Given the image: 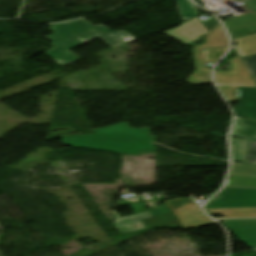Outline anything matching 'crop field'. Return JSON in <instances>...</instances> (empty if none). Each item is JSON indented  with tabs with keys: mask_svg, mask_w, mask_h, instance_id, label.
<instances>
[{
	"mask_svg": "<svg viewBox=\"0 0 256 256\" xmlns=\"http://www.w3.org/2000/svg\"><path fill=\"white\" fill-rule=\"evenodd\" d=\"M50 29L54 34L46 37L55 47L43 54L62 66L80 60L70 49L97 37L111 47L135 40L125 31L111 32L102 25L94 27L84 19L53 25Z\"/></svg>",
	"mask_w": 256,
	"mask_h": 256,
	"instance_id": "8a807250",
	"label": "crop field"
},
{
	"mask_svg": "<svg viewBox=\"0 0 256 256\" xmlns=\"http://www.w3.org/2000/svg\"><path fill=\"white\" fill-rule=\"evenodd\" d=\"M94 134L63 138L68 146L98 149L121 154L154 153L155 136L148 128L135 129L127 123L93 130Z\"/></svg>",
	"mask_w": 256,
	"mask_h": 256,
	"instance_id": "ac0d7876",
	"label": "crop field"
},
{
	"mask_svg": "<svg viewBox=\"0 0 256 256\" xmlns=\"http://www.w3.org/2000/svg\"><path fill=\"white\" fill-rule=\"evenodd\" d=\"M205 39L207 41L206 43H204L202 46L193 48L196 71L187 82L189 84H212V70L206 69L203 51L228 49L229 47L227 37L221 25H219L211 34L205 37Z\"/></svg>",
	"mask_w": 256,
	"mask_h": 256,
	"instance_id": "34b2d1b8",
	"label": "crop field"
},
{
	"mask_svg": "<svg viewBox=\"0 0 256 256\" xmlns=\"http://www.w3.org/2000/svg\"><path fill=\"white\" fill-rule=\"evenodd\" d=\"M170 207L183 228L199 227L216 224L207 218L192 198H182L165 202Z\"/></svg>",
	"mask_w": 256,
	"mask_h": 256,
	"instance_id": "412701ff",
	"label": "crop field"
},
{
	"mask_svg": "<svg viewBox=\"0 0 256 256\" xmlns=\"http://www.w3.org/2000/svg\"><path fill=\"white\" fill-rule=\"evenodd\" d=\"M205 209L256 207V189L224 188Z\"/></svg>",
	"mask_w": 256,
	"mask_h": 256,
	"instance_id": "f4fd0767",
	"label": "crop field"
},
{
	"mask_svg": "<svg viewBox=\"0 0 256 256\" xmlns=\"http://www.w3.org/2000/svg\"><path fill=\"white\" fill-rule=\"evenodd\" d=\"M231 71H216L217 84L255 86L249 72L240 57L228 60Z\"/></svg>",
	"mask_w": 256,
	"mask_h": 256,
	"instance_id": "dd49c442",
	"label": "crop field"
},
{
	"mask_svg": "<svg viewBox=\"0 0 256 256\" xmlns=\"http://www.w3.org/2000/svg\"><path fill=\"white\" fill-rule=\"evenodd\" d=\"M223 224L246 245H256V219L224 220Z\"/></svg>",
	"mask_w": 256,
	"mask_h": 256,
	"instance_id": "e52e79f7",
	"label": "crop field"
},
{
	"mask_svg": "<svg viewBox=\"0 0 256 256\" xmlns=\"http://www.w3.org/2000/svg\"><path fill=\"white\" fill-rule=\"evenodd\" d=\"M239 106L234 110L238 117L256 119V87L238 86Z\"/></svg>",
	"mask_w": 256,
	"mask_h": 256,
	"instance_id": "d8731c3e",
	"label": "crop field"
},
{
	"mask_svg": "<svg viewBox=\"0 0 256 256\" xmlns=\"http://www.w3.org/2000/svg\"><path fill=\"white\" fill-rule=\"evenodd\" d=\"M153 218L142 220L146 229L153 228H180L174 216L170 213L168 208L160 207L150 211Z\"/></svg>",
	"mask_w": 256,
	"mask_h": 256,
	"instance_id": "5a996713",
	"label": "crop field"
},
{
	"mask_svg": "<svg viewBox=\"0 0 256 256\" xmlns=\"http://www.w3.org/2000/svg\"><path fill=\"white\" fill-rule=\"evenodd\" d=\"M113 214L116 217V220L114 221L113 224L117 228L120 234L135 232V231H138L139 229H144V226L140 219L151 217L149 212L128 216V217H123V218H120L116 214V212Z\"/></svg>",
	"mask_w": 256,
	"mask_h": 256,
	"instance_id": "3316defc",
	"label": "crop field"
},
{
	"mask_svg": "<svg viewBox=\"0 0 256 256\" xmlns=\"http://www.w3.org/2000/svg\"><path fill=\"white\" fill-rule=\"evenodd\" d=\"M231 136L256 141V121L236 119Z\"/></svg>",
	"mask_w": 256,
	"mask_h": 256,
	"instance_id": "28ad6ade",
	"label": "crop field"
},
{
	"mask_svg": "<svg viewBox=\"0 0 256 256\" xmlns=\"http://www.w3.org/2000/svg\"><path fill=\"white\" fill-rule=\"evenodd\" d=\"M209 215L222 214L225 218L256 217V208L205 210Z\"/></svg>",
	"mask_w": 256,
	"mask_h": 256,
	"instance_id": "d1516ede",
	"label": "crop field"
},
{
	"mask_svg": "<svg viewBox=\"0 0 256 256\" xmlns=\"http://www.w3.org/2000/svg\"><path fill=\"white\" fill-rule=\"evenodd\" d=\"M249 142L250 141L247 140L231 138V151L233 161L241 163L245 162Z\"/></svg>",
	"mask_w": 256,
	"mask_h": 256,
	"instance_id": "22f410ed",
	"label": "crop field"
},
{
	"mask_svg": "<svg viewBox=\"0 0 256 256\" xmlns=\"http://www.w3.org/2000/svg\"><path fill=\"white\" fill-rule=\"evenodd\" d=\"M255 23H256V11L224 21V24L228 31L237 29L240 27H244L247 25L255 24Z\"/></svg>",
	"mask_w": 256,
	"mask_h": 256,
	"instance_id": "cbeb9de0",
	"label": "crop field"
},
{
	"mask_svg": "<svg viewBox=\"0 0 256 256\" xmlns=\"http://www.w3.org/2000/svg\"><path fill=\"white\" fill-rule=\"evenodd\" d=\"M225 187L256 188V177L229 175Z\"/></svg>",
	"mask_w": 256,
	"mask_h": 256,
	"instance_id": "5142ce71",
	"label": "crop field"
},
{
	"mask_svg": "<svg viewBox=\"0 0 256 256\" xmlns=\"http://www.w3.org/2000/svg\"><path fill=\"white\" fill-rule=\"evenodd\" d=\"M239 53L244 56L256 53V34L235 40Z\"/></svg>",
	"mask_w": 256,
	"mask_h": 256,
	"instance_id": "d9b57169",
	"label": "crop field"
},
{
	"mask_svg": "<svg viewBox=\"0 0 256 256\" xmlns=\"http://www.w3.org/2000/svg\"><path fill=\"white\" fill-rule=\"evenodd\" d=\"M182 17V21L195 18L198 15L197 7L189 0H176Z\"/></svg>",
	"mask_w": 256,
	"mask_h": 256,
	"instance_id": "733c2abd",
	"label": "crop field"
},
{
	"mask_svg": "<svg viewBox=\"0 0 256 256\" xmlns=\"http://www.w3.org/2000/svg\"><path fill=\"white\" fill-rule=\"evenodd\" d=\"M229 174L256 176V166L232 164Z\"/></svg>",
	"mask_w": 256,
	"mask_h": 256,
	"instance_id": "4a817a6b",
	"label": "crop field"
},
{
	"mask_svg": "<svg viewBox=\"0 0 256 256\" xmlns=\"http://www.w3.org/2000/svg\"><path fill=\"white\" fill-rule=\"evenodd\" d=\"M228 102L238 101L237 86H218Z\"/></svg>",
	"mask_w": 256,
	"mask_h": 256,
	"instance_id": "bc2a9ffb",
	"label": "crop field"
},
{
	"mask_svg": "<svg viewBox=\"0 0 256 256\" xmlns=\"http://www.w3.org/2000/svg\"><path fill=\"white\" fill-rule=\"evenodd\" d=\"M200 21H202V20L197 17V18H195V19H191V20L187 21V24L190 25L193 29H196L197 26L194 25L193 23L200 22ZM203 22H204L212 31L220 24V23L218 22V20L215 19L214 17L209 18V19H207V20H204ZM213 25H216V27H213Z\"/></svg>",
	"mask_w": 256,
	"mask_h": 256,
	"instance_id": "214f88e0",
	"label": "crop field"
},
{
	"mask_svg": "<svg viewBox=\"0 0 256 256\" xmlns=\"http://www.w3.org/2000/svg\"><path fill=\"white\" fill-rule=\"evenodd\" d=\"M243 61L252 78L256 77V54L247 58H243Z\"/></svg>",
	"mask_w": 256,
	"mask_h": 256,
	"instance_id": "92a150f3",
	"label": "crop field"
},
{
	"mask_svg": "<svg viewBox=\"0 0 256 256\" xmlns=\"http://www.w3.org/2000/svg\"><path fill=\"white\" fill-rule=\"evenodd\" d=\"M245 164L256 165V142H250Z\"/></svg>",
	"mask_w": 256,
	"mask_h": 256,
	"instance_id": "dafd665d",
	"label": "crop field"
},
{
	"mask_svg": "<svg viewBox=\"0 0 256 256\" xmlns=\"http://www.w3.org/2000/svg\"><path fill=\"white\" fill-rule=\"evenodd\" d=\"M226 50L204 52L207 63H216V61L225 54Z\"/></svg>",
	"mask_w": 256,
	"mask_h": 256,
	"instance_id": "00972430",
	"label": "crop field"
},
{
	"mask_svg": "<svg viewBox=\"0 0 256 256\" xmlns=\"http://www.w3.org/2000/svg\"><path fill=\"white\" fill-rule=\"evenodd\" d=\"M241 9L247 11V12H251L256 10V0H246L244 2V5L240 6Z\"/></svg>",
	"mask_w": 256,
	"mask_h": 256,
	"instance_id": "a9b5d70f",
	"label": "crop field"
},
{
	"mask_svg": "<svg viewBox=\"0 0 256 256\" xmlns=\"http://www.w3.org/2000/svg\"><path fill=\"white\" fill-rule=\"evenodd\" d=\"M249 249H250L251 252H255L256 251V246L249 247Z\"/></svg>",
	"mask_w": 256,
	"mask_h": 256,
	"instance_id": "4177f3b9",
	"label": "crop field"
},
{
	"mask_svg": "<svg viewBox=\"0 0 256 256\" xmlns=\"http://www.w3.org/2000/svg\"><path fill=\"white\" fill-rule=\"evenodd\" d=\"M254 81H255V83H256V78H254Z\"/></svg>",
	"mask_w": 256,
	"mask_h": 256,
	"instance_id": "730fd06b",
	"label": "crop field"
},
{
	"mask_svg": "<svg viewBox=\"0 0 256 256\" xmlns=\"http://www.w3.org/2000/svg\"><path fill=\"white\" fill-rule=\"evenodd\" d=\"M236 1L240 2V1H242V0H236Z\"/></svg>",
	"mask_w": 256,
	"mask_h": 256,
	"instance_id": "eef30255",
	"label": "crop field"
}]
</instances>
